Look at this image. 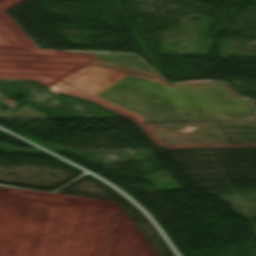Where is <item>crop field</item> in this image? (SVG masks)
I'll use <instances>...</instances> for the list:
<instances>
[{"label":"crop field","mask_w":256,"mask_h":256,"mask_svg":"<svg viewBox=\"0 0 256 256\" xmlns=\"http://www.w3.org/2000/svg\"><path fill=\"white\" fill-rule=\"evenodd\" d=\"M0 150L5 152L40 155L39 149H20L13 145H10L7 143H1V142H0Z\"/></svg>","instance_id":"8a807250"}]
</instances>
